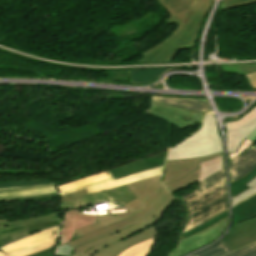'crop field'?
I'll return each instance as SVG.
<instances>
[{"mask_svg": "<svg viewBox=\"0 0 256 256\" xmlns=\"http://www.w3.org/2000/svg\"><path fill=\"white\" fill-rule=\"evenodd\" d=\"M62 206H63L64 209L72 208L69 201L62 203Z\"/></svg>", "mask_w": 256, "mask_h": 256, "instance_id": "crop-field-46", "label": "crop field"}, {"mask_svg": "<svg viewBox=\"0 0 256 256\" xmlns=\"http://www.w3.org/2000/svg\"><path fill=\"white\" fill-rule=\"evenodd\" d=\"M110 173L108 171L106 172H103V173H100V174H97V175H94V176H91V177H87V178H84V179H81V180H77V181H74V182H71V183H67V184H64V185H61V186H57V190L58 192H61V191H65L67 189H70V188H74V187H78V186H82V185H85V184H88V183H92V182H96L98 180H101V179H104V178H107V177H110Z\"/></svg>", "mask_w": 256, "mask_h": 256, "instance_id": "crop-field-23", "label": "crop field"}, {"mask_svg": "<svg viewBox=\"0 0 256 256\" xmlns=\"http://www.w3.org/2000/svg\"><path fill=\"white\" fill-rule=\"evenodd\" d=\"M54 252H55V247L49 248L44 251H41L32 255H28V256H53Z\"/></svg>", "mask_w": 256, "mask_h": 256, "instance_id": "crop-field-43", "label": "crop field"}, {"mask_svg": "<svg viewBox=\"0 0 256 256\" xmlns=\"http://www.w3.org/2000/svg\"><path fill=\"white\" fill-rule=\"evenodd\" d=\"M229 166L231 182L249 173L256 167V145L229 161Z\"/></svg>", "mask_w": 256, "mask_h": 256, "instance_id": "crop-field-12", "label": "crop field"}, {"mask_svg": "<svg viewBox=\"0 0 256 256\" xmlns=\"http://www.w3.org/2000/svg\"><path fill=\"white\" fill-rule=\"evenodd\" d=\"M155 239L156 238H153L146 242L134 245V246L126 249L119 256H147ZM144 249H146V251H144Z\"/></svg>", "mask_w": 256, "mask_h": 256, "instance_id": "crop-field-24", "label": "crop field"}, {"mask_svg": "<svg viewBox=\"0 0 256 256\" xmlns=\"http://www.w3.org/2000/svg\"><path fill=\"white\" fill-rule=\"evenodd\" d=\"M74 248L68 245H61L57 248L56 256H70Z\"/></svg>", "mask_w": 256, "mask_h": 256, "instance_id": "crop-field-40", "label": "crop field"}, {"mask_svg": "<svg viewBox=\"0 0 256 256\" xmlns=\"http://www.w3.org/2000/svg\"><path fill=\"white\" fill-rule=\"evenodd\" d=\"M250 188L246 191L242 192L238 196L232 198V206L239 203L240 201L246 199L247 197L251 196L252 194L256 193V177L252 179L249 183H247Z\"/></svg>", "mask_w": 256, "mask_h": 256, "instance_id": "crop-field-33", "label": "crop field"}, {"mask_svg": "<svg viewBox=\"0 0 256 256\" xmlns=\"http://www.w3.org/2000/svg\"><path fill=\"white\" fill-rule=\"evenodd\" d=\"M166 153L167 151L164 153H160L155 156H152L150 158L140 159L136 162H133L121 167H117L108 171L111 173L114 179H117L132 173L162 166L164 163Z\"/></svg>", "mask_w": 256, "mask_h": 256, "instance_id": "crop-field-11", "label": "crop field"}, {"mask_svg": "<svg viewBox=\"0 0 256 256\" xmlns=\"http://www.w3.org/2000/svg\"><path fill=\"white\" fill-rule=\"evenodd\" d=\"M53 192H56V190L52 184L25 188L0 189V199Z\"/></svg>", "mask_w": 256, "mask_h": 256, "instance_id": "crop-field-17", "label": "crop field"}, {"mask_svg": "<svg viewBox=\"0 0 256 256\" xmlns=\"http://www.w3.org/2000/svg\"><path fill=\"white\" fill-rule=\"evenodd\" d=\"M96 218L97 215L82 214L77 210H64L58 245L69 242L73 238L74 230L97 223Z\"/></svg>", "mask_w": 256, "mask_h": 256, "instance_id": "crop-field-9", "label": "crop field"}, {"mask_svg": "<svg viewBox=\"0 0 256 256\" xmlns=\"http://www.w3.org/2000/svg\"><path fill=\"white\" fill-rule=\"evenodd\" d=\"M55 196H58V194L53 193V194H45V195H36V196H28V197L2 199V200H0V202L15 201V200H26V199H39V198H47V197H55Z\"/></svg>", "mask_w": 256, "mask_h": 256, "instance_id": "crop-field-39", "label": "crop field"}, {"mask_svg": "<svg viewBox=\"0 0 256 256\" xmlns=\"http://www.w3.org/2000/svg\"><path fill=\"white\" fill-rule=\"evenodd\" d=\"M231 250L221 241L203 251H200L192 256H221L229 253Z\"/></svg>", "mask_w": 256, "mask_h": 256, "instance_id": "crop-field-29", "label": "crop field"}, {"mask_svg": "<svg viewBox=\"0 0 256 256\" xmlns=\"http://www.w3.org/2000/svg\"><path fill=\"white\" fill-rule=\"evenodd\" d=\"M160 176L127 184L136 197L123 205L131 212L123 217L98 215L99 223L76 230L81 238L67 243L75 248L71 256H118L126 248L156 237L152 225L176 201L159 182Z\"/></svg>", "mask_w": 256, "mask_h": 256, "instance_id": "crop-field-1", "label": "crop field"}, {"mask_svg": "<svg viewBox=\"0 0 256 256\" xmlns=\"http://www.w3.org/2000/svg\"><path fill=\"white\" fill-rule=\"evenodd\" d=\"M219 155H221V153L203 158L166 161L162 175V183L173 193L197 181L199 162L208 161Z\"/></svg>", "mask_w": 256, "mask_h": 256, "instance_id": "crop-field-5", "label": "crop field"}, {"mask_svg": "<svg viewBox=\"0 0 256 256\" xmlns=\"http://www.w3.org/2000/svg\"><path fill=\"white\" fill-rule=\"evenodd\" d=\"M234 224L256 217V194L233 207Z\"/></svg>", "mask_w": 256, "mask_h": 256, "instance_id": "crop-field-18", "label": "crop field"}, {"mask_svg": "<svg viewBox=\"0 0 256 256\" xmlns=\"http://www.w3.org/2000/svg\"><path fill=\"white\" fill-rule=\"evenodd\" d=\"M58 219H60V212H55V213L36 216V217H32V218H28L20 221H14V222H8V219L1 220L0 227L12 226V225H17L22 223H25L26 226H28L35 223L47 222V221L58 220Z\"/></svg>", "mask_w": 256, "mask_h": 256, "instance_id": "crop-field-22", "label": "crop field"}, {"mask_svg": "<svg viewBox=\"0 0 256 256\" xmlns=\"http://www.w3.org/2000/svg\"><path fill=\"white\" fill-rule=\"evenodd\" d=\"M112 190H114V192H112ZM104 193L111 201L117 199V201L120 202H130L135 198L125 185L114 189L105 190Z\"/></svg>", "mask_w": 256, "mask_h": 256, "instance_id": "crop-field-25", "label": "crop field"}, {"mask_svg": "<svg viewBox=\"0 0 256 256\" xmlns=\"http://www.w3.org/2000/svg\"><path fill=\"white\" fill-rule=\"evenodd\" d=\"M53 246H55V240L44 242V243L29 247V248H26L23 250L11 252V253H8L7 255L8 256H25V255L32 254V253H35V252H38V251H41V250H44L46 248L53 247Z\"/></svg>", "mask_w": 256, "mask_h": 256, "instance_id": "crop-field-30", "label": "crop field"}, {"mask_svg": "<svg viewBox=\"0 0 256 256\" xmlns=\"http://www.w3.org/2000/svg\"><path fill=\"white\" fill-rule=\"evenodd\" d=\"M256 176V168L253 169L249 174L246 176L236 180L235 182L231 183V191H232V197L238 195L242 191L246 190L247 187L245 184L249 182L252 178Z\"/></svg>", "mask_w": 256, "mask_h": 256, "instance_id": "crop-field-28", "label": "crop field"}, {"mask_svg": "<svg viewBox=\"0 0 256 256\" xmlns=\"http://www.w3.org/2000/svg\"><path fill=\"white\" fill-rule=\"evenodd\" d=\"M111 180H113V177H110V178L101 180V181L96 182V183H93V184H89V185H85V186H82V187L70 189V190H68V191H65V192L60 193V195L66 194V193H70V192H74V191H78V190H80V189L87 188V187H91V186H94V185H97V184H101V183H104V182H108V181H111Z\"/></svg>", "mask_w": 256, "mask_h": 256, "instance_id": "crop-field-42", "label": "crop field"}, {"mask_svg": "<svg viewBox=\"0 0 256 256\" xmlns=\"http://www.w3.org/2000/svg\"><path fill=\"white\" fill-rule=\"evenodd\" d=\"M172 15L165 21L167 24L176 23L177 27L180 24L186 10L192 0H156Z\"/></svg>", "mask_w": 256, "mask_h": 256, "instance_id": "crop-field-16", "label": "crop field"}, {"mask_svg": "<svg viewBox=\"0 0 256 256\" xmlns=\"http://www.w3.org/2000/svg\"><path fill=\"white\" fill-rule=\"evenodd\" d=\"M60 220L28 226L30 234L59 225Z\"/></svg>", "mask_w": 256, "mask_h": 256, "instance_id": "crop-field-37", "label": "crop field"}, {"mask_svg": "<svg viewBox=\"0 0 256 256\" xmlns=\"http://www.w3.org/2000/svg\"><path fill=\"white\" fill-rule=\"evenodd\" d=\"M87 194H88V192L86 191V189H83V190L75 192V193L63 195V196H61V199H62V202H63V201L71 200V199L81 197V196H84V195H87Z\"/></svg>", "mask_w": 256, "mask_h": 256, "instance_id": "crop-field-41", "label": "crop field"}, {"mask_svg": "<svg viewBox=\"0 0 256 256\" xmlns=\"http://www.w3.org/2000/svg\"><path fill=\"white\" fill-rule=\"evenodd\" d=\"M227 222L228 217L197 234L181 240L177 249L171 256H183L216 240L224 232Z\"/></svg>", "mask_w": 256, "mask_h": 256, "instance_id": "crop-field-7", "label": "crop field"}, {"mask_svg": "<svg viewBox=\"0 0 256 256\" xmlns=\"http://www.w3.org/2000/svg\"><path fill=\"white\" fill-rule=\"evenodd\" d=\"M224 180H225V175H224V170H222L214 174L210 178L206 179L205 181L199 183V187L197 188V191L202 193Z\"/></svg>", "mask_w": 256, "mask_h": 256, "instance_id": "crop-field-31", "label": "crop field"}, {"mask_svg": "<svg viewBox=\"0 0 256 256\" xmlns=\"http://www.w3.org/2000/svg\"><path fill=\"white\" fill-rule=\"evenodd\" d=\"M0 256H7V255L0 250Z\"/></svg>", "mask_w": 256, "mask_h": 256, "instance_id": "crop-field-47", "label": "crop field"}, {"mask_svg": "<svg viewBox=\"0 0 256 256\" xmlns=\"http://www.w3.org/2000/svg\"><path fill=\"white\" fill-rule=\"evenodd\" d=\"M151 100L156 102L176 106L179 108L199 112V113H213L211 107L207 101L204 100H192V99H177V98H163L150 96Z\"/></svg>", "mask_w": 256, "mask_h": 256, "instance_id": "crop-field-13", "label": "crop field"}, {"mask_svg": "<svg viewBox=\"0 0 256 256\" xmlns=\"http://www.w3.org/2000/svg\"><path fill=\"white\" fill-rule=\"evenodd\" d=\"M57 230H58V227H55V228L37 233V234L29 236L21 241L12 243L1 250L5 253H8L11 251L23 249V248L44 242L47 240L54 239L57 236Z\"/></svg>", "mask_w": 256, "mask_h": 256, "instance_id": "crop-field-15", "label": "crop field"}, {"mask_svg": "<svg viewBox=\"0 0 256 256\" xmlns=\"http://www.w3.org/2000/svg\"><path fill=\"white\" fill-rule=\"evenodd\" d=\"M212 0H193L178 29L157 46L142 53L145 57L138 63H166L184 48H191L199 25Z\"/></svg>", "mask_w": 256, "mask_h": 256, "instance_id": "crop-field-2", "label": "crop field"}, {"mask_svg": "<svg viewBox=\"0 0 256 256\" xmlns=\"http://www.w3.org/2000/svg\"><path fill=\"white\" fill-rule=\"evenodd\" d=\"M227 136V152H236L240 142L256 128V107L243 118L225 123Z\"/></svg>", "mask_w": 256, "mask_h": 256, "instance_id": "crop-field-8", "label": "crop field"}, {"mask_svg": "<svg viewBox=\"0 0 256 256\" xmlns=\"http://www.w3.org/2000/svg\"><path fill=\"white\" fill-rule=\"evenodd\" d=\"M226 216H228V212H226V213H224V214H222V215H220V216H218V217H216V218H214V219H212V220H210V221H208V222H206V223H204V224H202V225H200V226H198V227H196V228H194L190 231H187V232L183 233L181 239L185 238L189 235H192L194 233H197V232L215 224L216 222H218L219 220L223 219Z\"/></svg>", "mask_w": 256, "mask_h": 256, "instance_id": "crop-field-34", "label": "crop field"}, {"mask_svg": "<svg viewBox=\"0 0 256 256\" xmlns=\"http://www.w3.org/2000/svg\"><path fill=\"white\" fill-rule=\"evenodd\" d=\"M222 241L232 251L256 241V218L233 225Z\"/></svg>", "mask_w": 256, "mask_h": 256, "instance_id": "crop-field-10", "label": "crop field"}, {"mask_svg": "<svg viewBox=\"0 0 256 256\" xmlns=\"http://www.w3.org/2000/svg\"><path fill=\"white\" fill-rule=\"evenodd\" d=\"M254 143H255V142H253V141H251V140L245 138V139L243 140V142H241V144H240V146H239L237 152H236V153H230V155H229V160H230V159H233L234 157H236V156H238V155H240L243 151H245L247 148H249L250 146H252Z\"/></svg>", "mask_w": 256, "mask_h": 256, "instance_id": "crop-field-38", "label": "crop field"}, {"mask_svg": "<svg viewBox=\"0 0 256 256\" xmlns=\"http://www.w3.org/2000/svg\"><path fill=\"white\" fill-rule=\"evenodd\" d=\"M222 151L214 115H207L202 127L170 149L167 160L208 156Z\"/></svg>", "mask_w": 256, "mask_h": 256, "instance_id": "crop-field-4", "label": "crop field"}, {"mask_svg": "<svg viewBox=\"0 0 256 256\" xmlns=\"http://www.w3.org/2000/svg\"><path fill=\"white\" fill-rule=\"evenodd\" d=\"M173 68V67H169ZM169 68H158V69H148V70H132L127 71V74L131 80V82L142 83L148 82L166 71Z\"/></svg>", "mask_w": 256, "mask_h": 256, "instance_id": "crop-field-20", "label": "crop field"}, {"mask_svg": "<svg viewBox=\"0 0 256 256\" xmlns=\"http://www.w3.org/2000/svg\"><path fill=\"white\" fill-rule=\"evenodd\" d=\"M161 169L162 167H158L155 169H151V170H147L144 172H140V173H136V174H132L123 178H120L118 180H113L111 182L108 183H104L98 186H94L91 188H87V191L89 192V194L101 191V190H105V189H110V188H114L123 184H127V183H131L134 181H138V180H142L145 178H149L152 176H156V175H160L161 174Z\"/></svg>", "mask_w": 256, "mask_h": 256, "instance_id": "crop-field-14", "label": "crop field"}, {"mask_svg": "<svg viewBox=\"0 0 256 256\" xmlns=\"http://www.w3.org/2000/svg\"><path fill=\"white\" fill-rule=\"evenodd\" d=\"M222 166L223 155L208 162L200 163L198 182H201L210 177L212 174L222 170Z\"/></svg>", "mask_w": 256, "mask_h": 256, "instance_id": "crop-field-21", "label": "crop field"}, {"mask_svg": "<svg viewBox=\"0 0 256 256\" xmlns=\"http://www.w3.org/2000/svg\"><path fill=\"white\" fill-rule=\"evenodd\" d=\"M221 71L245 75L256 72V63L222 65Z\"/></svg>", "mask_w": 256, "mask_h": 256, "instance_id": "crop-field-27", "label": "crop field"}, {"mask_svg": "<svg viewBox=\"0 0 256 256\" xmlns=\"http://www.w3.org/2000/svg\"><path fill=\"white\" fill-rule=\"evenodd\" d=\"M246 76L248 78V81H249L250 85L253 88H256V73L248 74Z\"/></svg>", "mask_w": 256, "mask_h": 256, "instance_id": "crop-field-44", "label": "crop field"}, {"mask_svg": "<svg viewBox=\"0 0 256 256\" xmlns=\"http://www.w3.org/2000/svg\"><path fill=\"white\" fill-rule=\"evenodd\" d=\"M247 138L256 142V129L250 135H248Z\"/></svg>", "mask_w": 256, "mask_h": 256, "instance_id": "crop-field-45", "label": "crop field"}, {"mask_svg": "<svg viewBox=\"0 0 256 256\" xmlns=\"http://www.w3.org/2000/svg\"><path fill=\"white\" fill-rule=\"evenodd\" d=\"M186 207L183 232L227 211L225 181L204 193L196 190L181 197Z\"/></svg>", "mask_w": 256, "mask_h": 256, "instance_id": "crop-field-3", "label": "crop field"}, {"mask_svg": "<svg viewBox=\"0 0 256 256\" xmlns=\"http://www.w3.org/2000/svg\"><path fill=\"white\" fill-rule=\"evenodd\" d=\"M223 256H256V242Z\"/></svg>", "mask_w": 256, "mask_h": 256, "instance_id": "crop-field-35", "label": "crop field"}, {"mask_svg": "<svg viewBox=\"0 0 256 256\" xmlns=\"http://www.w3.org/2000/svg\"><path fill=\"white\" fill-rule=\"evenodd\" d=\"M27 235L30 234L25 224L0 228V247Z\"/></svg>", "mask_w": 256, "mask_h": 256, "instance_id": "crop-field-19", "label": "crop field"}, {"mask_svg": "<svg viewBox=\"0 0 256 256\" xmlns=\"http://www.w3.org/2000/svg\"><path fill=\"white\" fill-rule=\"evenodd\" d=\"M104 200L110 201L106 197V195L103 193V191H101L92 195H87L78 199L71 200L70 202L72 204V207L75 208V207L92 205L93 203L104 201Z\"/></svg>", "mask_w": 256, "mask_h": 256, "instance_id": "crop-field-26", "label": "crop field"}, {"mask_svg": "<svg viewBox=\"0 0 256 256\" xmlns=\"http://www.w3.org/2000/svg\"><path fill=\"white\" fill-rule=\"evenodd\" d=\"M49 183H51L49 180L1 182L0 188L34 186V185H43V184H49Z\"/></svg>", "mask_w": 256, "mask_h": 256, "instance_id": "crop-field-32", "label": "crop field"}, {"mask_svg": "<svg viewBox=\"0 0 256 256\" xmlns=\"http://www.w3.org/2000/svg\"><path fill=\"white\" fill-rule=\"evenodd\" d=\"M256 3V0H224L220 11L248 5V4H253Z\"/></svg>", "mask_w": 256, "mask_h": 256, "instance_id": "crop-field-36", "label": "crop field"}, {"mask_svg": "<svg viewBox=\"0 0 256 256\" xmlns=\"http://www.w3.org/2000/svg\"><path fill=\"white\" fill-rule=\"evenodd\" d=\"M170 110V112H168ZM146 113L161 117L178 128L188 127L195 122H202L204 114H199L176 107L160 104L151 101V109L146 110Z\"/></svg>", "mask_w": 256, "mask_h": 256, "instance_id": "crop-field-6", "label": "crop field"}]
</instances>
